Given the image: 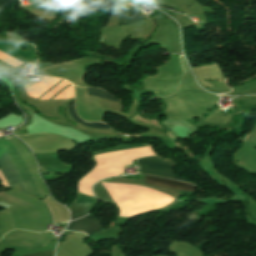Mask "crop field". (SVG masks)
I'll return each instance as SVG.
<instances>
[{"label":"crop field","instance_id":"1","mask_svg":"<svg viewBox=\"0 0 256 256\" xmlns=\"http://www.w3.org/2000/svg\"><path fill=\"white\" fill-rule=\"evenodd\" d=\"M139 166H140L141 173L160 176V177H166L169 179L194 184L193 182L185 178H179L172 173L171 171L173 166L172 160H165L160 157L152 156L148 158L139 159Z\"/></svg>","mask_w":256,"mask_h":256},{"label":"crop field","instance_id":"2","mask_svg":"<svg viewBox=\"0 0 256 256\" xmlns=\"http://www.w3.org/2000/svg\"><path fill=\"white\" fill-rule=\"evenodd\" d=\"M0 171L3 174L4 178L6 179L7 183L9 184L10 188L20 184L22 191L24 193H28L9 150L0 156ZM1 173H0V179L2 180V185L5 186L7 189H9V186L6 183Z\"/></svg>","mask_w":256,"mask_h":256},{"label":"crop field","instance_id":"3","mask_svg":"<svg viewBox=\"0 0 256 256\" xmlns=\"http://www.w3.org/2000/svg\"><path fill=\"white\" fill-rule=\"evenodd\" d=\"M66 230L71 231H86L89 235L102 230L97 220L90 214L70 222Z\"/></svg>","mask_w":256,"mask_h":256},{"label":"crop field","instance_id":"4","mask_svg":"<svg viewBox=\"0 0 256 256\" xmlns=\"http://www.w3.org/2000/svg\"><path fill=\"white\" fill-rule=\"evenodd\" d=\"M146 182L150 183V184H154V185L170 187L174 190L195 191V186H193V185L176 182V181L160 179V178H155V177H151V176L148 177Z\"/></svg>","mask_w":256,"mask_h":256},{"label":"crop field","instance_id":"5","mask_svg":"<svg viewBox=\"0 0 256 256\" xmlns=\"http://www.w3.org/2000/svg\"><path fill=\"white\" fill-rule=\"evenodd\" d=\"M91 204H72L69 208L71 220L82 217L88 213V206Z\"/></svg>","mask_w":256,"mask_h":256},{"label":"crop field","instance_id":"6","mask_svg":"<svg viewBox=\"0 0 256 256\" xmlns=\"http://www.w3.org/2000/svg\"><path fill=\"white\" fill-rule=\"evenodd\" d=\"M69 112L71 113L72 117L82 123L83 125L85 126H88V127H96V128H109L107 127L105 124L103 123H87V122H84L82 120H80V118L77 116L76 112H75V109H74V100L69 102Z\"/></svg>","mask_w":256,"mask_h":256},{"label":"crop field","instance_id":"7","mask_svg":"<svg viewBox=\"0 0 256 256\" xmlns=\"http://www.w3.org/2000/svg\"><path fill=\"white\" fill-rule=\"evenodd\" d=\"M89 96H98L101 98H105L112 101H119L118 99L108 95L106 92L102 91L101 89H93L88 88Z\"/></svg>","mask_w":256,"mask_h":256},{"label":"crop field","instance_id":"8","mask_svg":"<svg viewBox=\"0 0 256 256\" xmlns=\"http://www.w3.org/2000/svg\"><path fill=\"white\" fill-rule=\"evenodd\" d=\"M146 19L143 15L140 14V12L138 11V9L130 12L128 14V16L126 17V23L125 24H129V23H133V22H137L140 20Z\"/></svg>","mask_w":256,"mask_h":256},{"label":"crop field","instance_id":"9","mask_svg":"<svg viewBox=\"0 0 256 256\" xmlns=\"http://www.w3.org/2000/svg\"><path fill=\"white\" fill-rule=\"evenodd\" d=\"M129 3V2H128ZM129 5L130 6H133V7H136L137 5H134V4H132V3H129ZM130 6H127V7H125V8H123L121 11H120V13H119V18H118V24L120 25V24H123V22H124V17H125V15L128 13V12H130L131 10H134V9H136V8H133V7H130Z\"/></svg>","mask_w":256,"mask_h":256},{"label":"crop field","instance_id":"10","mask_svg":"<svg viewBox=\"0 0 256 256\" xmlns=\"http://www.w3.org/2000/svg\"><path fill=\"white\" fill-rule=\"evenodd\" d=\"M54 252H55V250H50V251H44V252L28 254V255H23V256H54Z\"/></svg>","mask_w":256,"mask_h":256},{"label":"crop field","instance_id":"11","mask_svg":"<svg viewBox=\"0 0 256 256\" xmlns=\"http://www.w3.org/2000/svg\"><path fill=\"white\" fill-rule=\"evenodd\" d=\"M62 81H63V80H62ZM62 81H61V82H62ZM59 83H60V82H59ZM59 83H58V84H59ZM31 84H33V83H30V84L26 85L25 87H27V86H29V85H31ZM58 84H57V85H58ZM57 85H56V86H57ZM56 86H54V87H56ZM70 86H71V85H70ZM70 86H69V87H70ZM54 87H53V88H54ZM69 87H68V88H69ZM53 88H52V89H53ZM52 89H51V90H52ZM66 89H67V88H66ZM66 89H65V90H66ZM51 90H49L48 92H50ZM65 90H64V91H65ZM64 91H63V92H64ZM48 92H47V93H48ZM63 92H62V93H63ZM47 93H46V94H47ZM46 94H44L42 97H44ZM60 94H61V93H60ZM60 94H59V95H60ZM59 95H58V96H59ZM58 96H57V97H58ZM42 97H41V98H42ZM57 97H56V98H57ZM41 98H39V100H40ZM54 99H55V98H54ZM54 99H53V100H54Z\"/></svg>","mask_w":256,"mask_h":256},{"label":"crop field","instance_id":"12","mask_svg":"<svg viewBox=\"0 0 256 256\" xmlns=\"http://www.w3.org/2000/svg\"><path fill=\"white\" fill-rule=\"evenodd\" d=\"M47 205H48V203H46ZM48 207H49V205H48ZM50 208V207H49ZM51 210V209H50ZM52 213V212H51ZM53 217V216H52Z\"/></svg>","mask_w":256,"mask_h":256},{"label":"crop field","instance_id":"13","mask_svg":"<svg viewBox=\"0 0 256 256\" xmlns=\"http://www.w3.org/2000/svg\"><path fill=\"white\" fill-rule=\"evenodd\" d=\"M215 100H216V98H215Z\"/></svg>","mask_w":256,"mask_h":256}]
</instances>
